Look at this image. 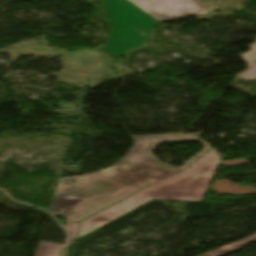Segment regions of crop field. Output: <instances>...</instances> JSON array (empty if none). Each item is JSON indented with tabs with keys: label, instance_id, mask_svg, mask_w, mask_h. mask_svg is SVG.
I'll list each match as a JSON object with an SVG mask.
<instances>
[{
	"label": "crop field",
	"instance_id": "obj_1",
	"mask_svg": "<svg viewBox=\"0 0 256 256\" xmlns=\"http://www.w3.org/2000/svg\"><path fill=\"white\" fill-rule=\"evenodd\" d=\"M134 147L117 164L85 176L59 179L49 212L76 222L187 167L209 149L198 134L133 137ZM198 140L205 148L182 168L161 164L150 151L162 142Z\"/></svg>",
	"mask_w": 256,
	"mask_h": 256
},
{
	"label": "crop field",
	"instance_id": "obj_2",
	"mask_svg": "<svg viewBox=\"0 0 256 256\" xmlns=\"http://www.w3.org/2000/svg\"><path fill=\"white\" fill-rule=\"evenodd\" d=\"M220 159L221 157L212 148L186 170L168 177L83 221L78 237L151 199L202 201L205 191L219 165Z\"/></svg>",
	"mask_w": 256,
	"mask_h": 256
},
{
	"label": "crop field",
	"instance_id": "obj_3",
	"mask_svg": "<svg viewBox=\"0 0 256 256\" xmlns=\"http://www.w3.org/2000/svg\"><path fill=\"white\" fill-rule=\"evenodd\" d=\"M111 29L104 50L114 57H125L128 50L149 39L156 21L128 0H102Z\"/></svg>",
	"mask_w": 256,
	"mask_h": 256
},
{
	"label": "crop field",
	"instance_id": "obj_4",
	"mask_svg": "<svg viewBox=\"0 0 256 256\" xmlns=\"http://www.w3.org/2000/svg\"><path fill=\"white\" fill-rule=\"evenodd\" d=\"M157 21H169L205 14L199 0H130ZM129 1V2H130ZM132 3V4H133Z\"/></svg>",
	"mask_w": 256,
	"mask_h": 256
},
{
	"label": "crop field",
	"instance_id": "obj_5",
	"mask_svg": "<svg viewBox=\"0 0 256 256\" xmlns=\"http://www.w3.org/2000/svg\"><path fill=\"white\" fill-rule=\"evenodd\" d=\"M255 241H256V233L253 234L252 236H250L247 239H244V240H241V241H238V242H235V243H231L227 246H224V247L206 252V253L198 255V256H222V255L234 252L238 249H241V247L243 245H246V244H249V243H252V242H255Z\"/></svg>",
	"mask_w": 256,
	"mask_h": 256
},
{
	"label": "crop field",
	"instance_id": "obj_6",
	"mask_svg": "<svg viewBox=\"0 0 256 256\" xmlns=\"http://www.w3.org/2000/svg\"><path fill=\"white\" fill-rule=\"evenodd\" d=\"M62 245L40 242L36 256H60Z\"/></svg>",
	"mask_w": 256,
	"mask_h": 256
},
{
	"label": "crop field",
	"instance_id": "obj_7",
	"mask_svg": "<svg viewBox=\"0 0 256 256\" xmlns=\"http://www.w3.org/2000/svg\"><path fill=\"white\" fill-rule=\"evenodd\" d=\"M78 226H79L78 223L73 222V221L67 219L65 229H66L67 232L69 233V241H68V244L71 243V241L75 238V235H76L77 230H78Z\"/></svg>",
	"mask_w": 256,
	"mask_h": 256
},
{
	"label": "crop field",
	"instance_id": "obj_8",
	"mask_svg": "<svg viewBox=\"0 0 256 256\" xmlns=\"http://www.w3.org/2000/svg\"><path fill=\"white\" fill-rule=\"evenodd\" d=\"M244 81L253 80L256 78V66L238 74Z\"/></svg>",
	"mask_w": 256,
	"mask_h": 256
},
{
	"label": "crop field",
	"instance_id": "obj_9",
	"mask_svg": "<svg viewBox=\"0 0 256 256\" xmlns=\"http://www.w3.org/2000/svg\"><path fill=\"white\" fill-rule=\"evenodd\" d=\"M255 53H256V43L253 44V50L252 51L242 55L243 58L245 59V61L247 62V64L249 65V67L256 64V55H255ZM252 54L254 56L250 58L249 56L252 55Z\"/></svg>",
	"mask_w": 256,
	"mask_h": 256
}]
</instances>
